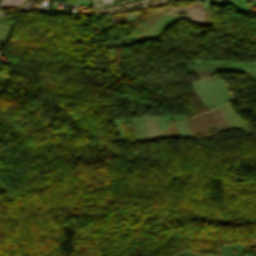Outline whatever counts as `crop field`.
I'll list each match as a JSON object with an SVG mask.
<instances>
[{"mask_svg":"<svg viewBox=\"0 0 256 256\" xmlns=\"http://www.w3.org/2000/svg\"><path fill=\"white\" fill-rule=\"evenodd\" d=\"M92 2H93V4H94V5H96V3H95V1H94V0H92Z\"/></svg>","mask_w":256,"mask_h":256,"instance_id":"crop-field-9","label":"crop field"},{"mask_svg":"<svg viewBox=\"0 0 256 256\" xmlns=\"http://www.w3.org/2000/svg\"><path fill=\"white\" fill-rule=\"evenodd\" d=\"M111 2H113V0H103V4H105V3H111Z\"/></svg>","mask_w":256,"mask_h":256,"instance_id":"crop-field-7","label":"crop field"},{"mask_svg":"<svg viewBox=\"0 0 256 256\" xmlns=\"http://www.w3.org/2000/svg\"><path fill=\"white\" fill-rule=\"evenodd\" d=\"M176 256H200V255L187 254V253H185V252H182V253H180V254H178V255H176Z\"/></svg>","mask_w":256,"mask_h":256,"instance_id":"crop-field-5","label":"crop field"},{"mask_svg":"<svg viewBox=\"0 0 256 256\" xmlns=\"http://www.w3.org/2000/svg\"><path fill=\"white\" fill-rule=\"evenodd\" d=\"M49 1H55V2L67 3V0H49Z\"/></svg>","mask_w":256,"mask_h":256,"instance_id":"crop-field-6","label":"crop field"},{"mask_svg":"<svg viewBox=\"0 0 256 256\" xmlns=\"http://www.w3.org/2000/svg\"><path fill=\"white\" fill-rule=\"evenodd\" d=\"M78 4L80 5H90L89 0H78Z\"/></svg>","mask_w":256,"mask_h":256,"instance_id":"crop-field-4","label":"crop field"},{"mask_svg":"<svg viewBox=\"0 0 256 256\" xmlns=\"http://www.w3.org/2000/svg\"><path fill=\"white\" fill-rule=\"evenodd\" d=\"M186 19L190 20L191 22H193L199 26H202L203 19H193V18H186Z\"/></svg>","mask_w":256,"mask_h":256,"instance_id":"crop-field-3","label":"crop field"},{"mask_svg":"<svg viewBox=\"0 0 256 256\" xmlns=\"http://www.w3.org/2000/svg\"><path fill=\"white\" fill-rule=\"evenodd\" d=\"M0 23L3 24V25L9 26V27H11V28L13 27L12 25H9V24H7V23H5V22H2V21H0Z\"/></svg>","mask_w":256,"mask_h":256,"instance_id":"crop-field-8","label":"crop field"},{"mask_svg":"<svg viewBox=\"0 0 256 256\" xmlns=\"http://www.w3.org/2000/svg\"><path fill=\"white\" fill-rule=\"evenodd\" d=\"M151 1H155V0L141 1V2H137L135 4H131V5H127V6H122V7H116V8L99 9V11L102 12V13H114V12H120V11L134 10V9H139V8H143V7L153 6V5H156V4H159V3H162V2H166V1H171V0H161V1H158V2H155V3H151V4H147V5H143V6L132 7V8H127V9H121V8L129 7V6H132V5H136V4H140V3H145V2H151ZM109 9H121V10L103 12V11L109 10Z\"/></svg>","mask_w":256,"mask_h":256,"instance_id":"crop-field-1","label":"crop field"},{"mask_svg":"<svg viewBox=\"0 0 256 256\" xmlns=\"http://www.w3.org/2000/svg\"><path fill=\"white\" fill-rule=\"evenodd\" d=\"M23 0H2L0 6L16 8L19 7Z\"/></svg>","mask_w":256,"mask_h":256,"instance_id":"crop-field-2","label":"crop field"}]
</instances>
